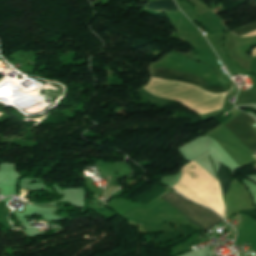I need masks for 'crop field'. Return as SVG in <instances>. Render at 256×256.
I'll return each instance as SVG.
<instances>
[{
  "instance_id": "11",
  "label": "crop field",
  "mask_w": 256,
  "mask_h": 256,
  "mask_svg": "<svg viewBox=\"0 0 256 256\" xmlns=\"http://www.w3.org/2000/svg\"><path fill=\"white\" fill-rule=\"evenodd\" d=\"M246 1H249V0H246Z\"/></svg>"
},
{
  "instance_id": "9",
  "label": "crop field",
  "mask_w": 256,
  "mask_h": 256,
  "mask_svg": "<svg viewBox=\"0 0 256 256\" xmlns=\"http://www.w3.org/2000/svg\"><path fill=\"white\" fill-rule=\"evenodd\" d=\"M250 2H252V3L256 4V0H252V1H250Z\"/></svg>"
},
{
  "instance_id": "6",
  "label": "crop field",
  "mask_w": 256,
  "mask_h": 256,
  "mask_svg": "<svg viewBox=\"0 0 256 256\" xmlns=\"http://www.w3.org/2000/svg\"><path fill=\"white\" fill-rule=\"evenodd\" d=\"M253 30H256V23L250 24V25H248V26H246V27H243V28L234 30V31H232V32L235 33V34H237V35H239V36H241V35H243V34H246V33H248V32H251V31H253Z\"/></svg>"
},
{
  "instance_id": "8",
  "label": "crop field",
  "mask_w": 256,
  "mask_h": 256,
  "mask_svg": "<svg viewBox=\"0 0 256 256\" xmlns=\"http://www.w3.org/2000/svg\"><path fill=\"white\" fill-rule=\"evenodd\" d=\"M100 194H101V190H100L99 194H98V195H96V196H97V197H99V196H100ZM99 201L101 202V200H99ZM97 202H98V201H97ZM97 202H96V203H97Z\"/></svg>"
},
{
  "instance_id": "7",
  "label": "crop field",
  "mask_w": 256,
  "mask_h": 256,
  "mask_svg": "<svg viewBox=\"0 0 256 256\" xmlns=\"http://www.w3.org/2000/svg\"><path fill=\"white\" fill-rule=\"evenodd\" d=\"M116 188H118V186H109V187L106 189V192L104 193V197H103V198H106V196H107L110 192L114 191Z\"/></svg>"
},
{
  "instance_id": "5",
  "label": "crop field",
  "mask_w": 256,
  "mask_h": 256,
  "mask_svg": "<svg viewBox=\"0 0 256 256\" xmlns=\"http://www.w3.org/2000/svg\"><path fill=\"white\" fill-rule=\"evenodd\" d=\"M217 175H218V177L220 179V184H221V187H222V190H223V196H225L226 193L229 190V187H230L231 177L227 173L225 168H223L221 165L219 167Z\"/></svg>"
},
{
  "instance_id": "2",
  "label": "crop field",
  "mask_w": 256,
  "mask_h": 256,
  "mask_svg": "<svg viewBox=\"0 0 256 256\" xmlns=\"http://www.w3.org/2000/svg\"><path fill=\"white\" fill-rule=\"evenodd\" d=\"M255 120L243 113L237 118L233 119L224 125L230 132H232L245 146H247L253 153L256 152V133L250 125H253Z\"/></svg>"
},
{
  "instance_id": "10",
  "label": "crop field",
  "mask_w": 256,
  "mask_h": 256,
  "mask_svg": "<svg viewBox=\"0 0 256 256\" xmlns=\"http://www.w3.org/2000/svg\"><path fill=\"white\" fill-rule=\"evenodd\" d=\"M246 256H251V254H249V255H246Z\"/></svg>"
},
{
  "instance_id": "1",
  "label": "crop field",
  "mask_w": 256,
  "mask_h": 256,
  "mask_svg": "<svg viewBox=\"0 0 256 256\" xmlns=\"http://www.w3.org/2000/svg\"><path fill=\"white\" fill-rule=\"evenodd\" d=\"M161 198L172 205L192 223L198 225L202 230L212 228L224 221L211 210L196 206L176 193H166Z\"/></svg>"
},
{
  "instance_id": "4",
  "label": "crop field",
  "mask_w": 256,
  "mask_h": 256,
  "mask_svg": "<svg viewBox=\"0 0 256 256\" xmlns=\"http://www.w3.org/2000/svg\"><path fill=\"white\" fill-rule=\"evenodd\" d=\"M145 9L155 10L158 12L166 10H178L173 0H157L148 3Z\"/></svg>"
},
{
  "instance_id": "3",
  "label": "crop field",
  "mask_w": 256,
  "mask_h": 256,
  "mask_svg": "<svg viewBox=\"0 0 256 256\" xmlns=\"http://www.w3.org/2000/svg\"><path fill=\"white\" fill-rule=\"evenodd\" d=\"M150 75L158 78L187 82L195 84L197 87L207 90L211 93H219L224 91L223 88L208 86L203 80L190 74L163 69V68H150Z\"/></svg>"
}]
</instances>
